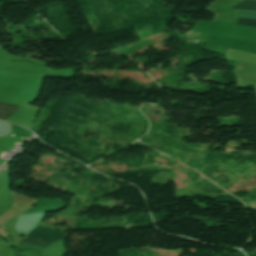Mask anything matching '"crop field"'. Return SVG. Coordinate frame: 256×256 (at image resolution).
Listing matches in <instances>:
<instances>
[{
	"label": "crop field",
	"mask_w": 256,
	"mask_h": 256,
	"mask_svg": "<svg viewBox=\"0 0 256 256\" xmlns=\"http://www.w3.org/2000/svg\"><path fill=\"white\" fill-rule=\"evenodd\" d=\"M65 237V235L53 230L37 226L21 240L20 244L45 248L54 241Z\"/></svg>",
	"instance_id": "8a807250"
},
{
	"label": "crop field",
	"mask_w": 256,
	"mask_h": 256,
	"mask_svg": "<svg viewBox=\"0 0 256 256\" xmlns=\"http://www.w3.org/2000/svg\"><path fill=\"white\" fill-rule=\"evenodd\" d=\"M18 107V105L0 102V119H7Z\"/></svg>",
	"instance_id": "ac0d7876"
},
{
	"label": "crop field",
	"mask_w": 256,
	"mask_h": 256,
	"mask_svg": "<svg viewBox=\"0 0 256 256\" xmlns=\"http://www.w3.org/2000/svg\"><path fill=\"white\" fill-rule=\"evenodd\" d=\"M231 8L242 10H256V0H243Z\"/></svg>",
	"instance_id": "34b2d1b8"
},
{
	"label": "crop field",
	"mask_w": 256,
	"mask_h": 256,
	"mask_svg": "<svg viewBox=\"0 0 256 256\" xmlns=\"http://www.w3.org/2000/svg\"><path fill=\"white\" fill-rule=\"evenodd\" d=\"M236 24L256 26V20L239 17Z\"/></svg>",
	"instance_id": "412701ff"
},
{
	"label": "crop field",
	"mask_w": 256,
	"mask_h": 256,
	"mask_svg": "<svg viewBox=\"0 0 256 256\" xmlns=\"http://www.w3.org/2000/svg\"><path fill=\"white\" fill-rule=\"evenodd\" d=\"M15 256H21V255H17V254H15Z\"/></svg>",
	"instance_id": "f4fd0767"
}]
</instances>
